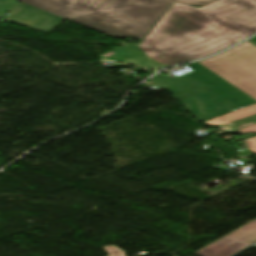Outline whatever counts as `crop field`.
Returning <instances> with one entry per match:
<instances>
[{"label": "crop field", "mask_w": 256, "mask_h": 256, "mask_svg": "<svg viewBox=\"0 0 256 256\" xmlns=\"http://www.w3.org/2000/svg\"><path fill=\"white\" fill-rule=\"evenodd\" d=\"M256 33V0H219L200 9L174 3L138 46L146 55L119 61L156 70L206 57Z\"/></svg>", "instance_id": "8a807250"}, {"label": "crop field", "mask_w": 256, "mask_h": 256, "mask_svg": "<svg viewBox=\"0 0 256 256\" xmlns=\"http://www.w3.org/2000/svg\"><path fill=\"white\" fill-rule=\"evenodd\" d=\"M194 70L151 80L171 92L200 122L256 103V47L244 43L189 64Z\"/></svg>", "instance_id": "ac0d7876"}, {"label": "crop field", "mask_w": 256, "mask_h": 256, "mask_svg": "<svg viewBox=\"0 0 256 256\" xmlns=\"http://www.w3.org/2000/svg\"><path fill=\"white\" fill-rule=\"evenodd\" d=\"M114 37L143 39L169 0H16Z\"/></svg>", "instance_id": "34b2d1b8"}, {"label": "crop field", "mask_w": 256, "mask_h": 256, "mask_svg": "<svg viewBox=\"0 0 256 256\" xmlns=\"http://www.w3.org/2000/svg\"><path fill=\"white\" fill-rule=\"evenodd\" d=\"M256 243V219L224 235L193 254L197 256H232Z\"/></svg>", "instance_id": "412701ff"}, {"label": "crop field", "mask_w": 256, "mask_h": 256, "mask_svg": "<svg viewBox=\"0 0 256 256\" xmlns=\"http://www.w3.org/2000/svg\"><path fill=\"white\" fill-rule=\"evenodd\" d=\"M6 20L16 25L48 33L64 19L25 5Z\"/></svg>", "instance_id": "f4fd0767"}, {"label": "crop field", "mask_w": 256, "mask_h": 256, "mask_svg": "<svg viewBox=\"0 0 256 256\" xmlns=\"http://www.w3.org/2000/svg\"><path fill=\"white\" fill-rule=\"evenodd\" d=\"M172 1H177V2L185 3V4L196 6V7H201L203 5H206L216 0H172Z\"/></svg>", "instance_id": "dd49c442"}, {"label": "crop field", "mask_w": 256, "mask_h": 256, "mask_svg": "<svg viewBox=\"0 0 256 256\" xmlns=\"http://www.w3.org/2000/svg\"><path fill=\"white\" fill-rule=\"evenodd\" d=\"M105 251L109 254V256H125L123 250L115 247V246H107L103 247Z\"/></svg>", "instance_id": "e52e79f7"}, {"label": "crop field", "mask_w": 256, "mask_h": 256, "mask_svg": "<svg viewBox=\"0 0 256 256\" xmlns=\"http://www.w3.org/2000/svg\"><path fill=\"white\" fill-rule=\"evenodd\" d=\"M252 153L256 154V136L243 140Z\"/></svg>", "instance_id": "d8731c3e"}, {"label": "crop field", "mask_w": 256, "mask_h": 256, "mask_svg": "<svg viewBox=\"0 0 256 256\" xmlns=\"http://www.w3.org/2000/svg\"><path fill=\"white\" fill-rule=\"evenodd\" d=\"M234 132H256V124Z\"/></svg>", "instance_id": "5a996713"}, {"label": "crop field", "mask_w": 256, "mask_h": 256, "mask_svg": "<svg viewBox=\"0 0 256 256\" xmlns=\"http://www.w3.org/2000/svg\"><path fill=\"white\" fill-rule=\"evenodd\" d=\"M249 41H251L252 43L256 44V37L250 39Z\"/></svg>", "instance_id": "3316defc"}, {"label": "crop field", "mask_w": 256, "mask_h": 256, "mask_svg": "<svg viewBox=\"0 0 256 256\" xmlns=\"http://www.w3.org/2000/svg\"><path fill=\"white\" fill-rule=\"evenodd\" d=\"M109 54H111V53H109ZM109 54L104 55V57L107 56V55H109Z\"/></svg>", "instance_id": "28ad6ade"}]
</instances>
